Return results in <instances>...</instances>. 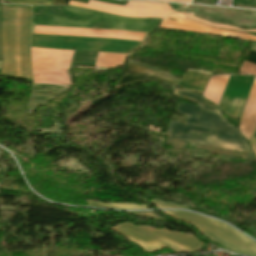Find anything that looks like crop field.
Wrapping results in <instances>:
<instances>
[{"label": "crop field", "instance_id": "obj_14", "mask_svg": "<svg viewBox=\"0 0 256 256\" xmlns=\"http://www.w3.org/2000/svg\"><path fill=\"white\" fill-rule=\"evenodd\" d=\"M34 88H53L49 90H34ZM66 87L50 86L44 84H33L32 94H46L47 92H54L51 94H59L60 92L66 90Z\"/></svg>", "mask_w": 256, "mask_h": 256}, {"label": "crop field", "instance_id": "obj_16", "mask_svg": "<svg viewBox=\"0 0 256 256\" xmlns=\"http://www.w3.org/2000/svg\"><path fill=\"white\" fill-rule=\"evenodd\" d=\"M150 203H153L156 207L158 208H177V209H188L187 206L185 205H177L175 203L172 202H163L160 200H156L154 199L153 201H151ZM152 204V205H153Z\"/></svg>", "mask_w": 256, "mask_h": 256}, {"label": "crop field", "instance_id": "obj_20", "mask_svg": "<svg viewBox=\"0 0 256 256\" xmlns=\"http://www.w3.org/2000/svg\"><path fill=\"white\" fill-rule=\"evenodd\" d=\"M252 151H253V153L255 154V156H256V141L254 142V144H253V146H252Z\"/></svg>", "mask_w": 256, "mask_h": 256}, {"label": "crop field", "instance_id": "obj_12", "mask_svg": "<svg viewBox=\"0 0 256 256\" xmlns=\"http://www.w3.org/2000/svg\"><path fill=\"white\" fill-rule=\"evenodd\" d=\"M88 206L102 207V208H113V209H148L144 205L134 204H102L96 201H87Z\"/></svg>", "mask_w": 256, "mask_h": 256}, {"label": "crop field", "instance_id": "obj_21", "mask_svg": "<svg viewBox=\"0 0 256 256\" xmlns=\"http://www.w3.org/2000/svg\"><path fill=\"white\" fill-rule=\"evenodd\" d=\"M191 0H175L174 2H184V3H189Z\"/></svg>", "mask_w": 256, "mask_h": 256}, {"label": "crop field", "instance_id": "obj_5", "mask_svg": "<svg viewBox=\"0 0 256 256\" xmlns=\"http://www.w3.org/2000/svg\"><path fill=\"white\" fill-rule=\"evenodd\" d=\"M161 213L186 224H193L203 236L212 242L216 241L225 249L242 255L256 256L255 242L221 222L188 212L165 211Z\"/></svg>", "mask_w": 256, "mask_h": 256}, {"label": "crop field", "instance_id": "obj_2", "mask_svg": "<svg viewBox=\"0 0 256 256\" xmlns=\"http://www.w3.org/2000/svg\"><path fill=\"white\" fill-rule=\"evenodd\" d=\"M174 95L192 100L201 106L179 104L176 112L188 118L185 124L170 123L167 129L170 137L200 145L251 152L237 129L230 125L214 106L196 94L176 88H174ZM190 131L208 134L210 139L206 136L191 134ZM228 132L233 134H228Z\"/></svg>", "mask_w": 256, "mask_h": 256}, {"label": "crop field", "instance_id": "obj_18", "mask_svg": "<svg viewBox=\"0 0 256 256\" xmlns=\"http://www.w3.org/2000/svg\"><path fill=\"white\" fill-rule=\"evenodd\" d=\"M132 4H144V5H151L155 7H162V8H168L171 9L168 4H161V3H151V2H128Z\"/></svg>", "mask_w": 256, "mask_h": 256}, {"label": "crop field", "instance_id": "obj_13", "mask_svg": "<svg viewBox=\"0 0 256 256\" xmlns=\"http://www.w3.org/2000/svg\"><path fill=\"white\" fill-rule=\"evenodd\" d=\"M19 4L52 5L54 0H2ZM69 0H55L53 5H68Z\"/></svg>", "mask_w": 256, "mask_h": 256}, {"label": "crop field", "instance_id": "obj_9", "mask_svg": "<svg viewBox=\"0 0 256 256\" xmlns=\"http://www.w3.org/2000/svg\"><path fill=\"white\" fill-rule=\"evenodd\" d=\"M210 73L187 70L178 87L189 91L202 93L209 79Z\"/></svg>", "mask_w": 256, "mask_h": 256}, {"label": "crop field", "instance_id": "obj_4", "mask_svg": "<svg viewBox=\"0 0 256 256\" xmlns=\"http://www.w3.org/2000/svg\"><path fill=\"white\" fill-rule=\"evenodd\" d=\"M128 240L140 245L144 252H157L169 247L175 252H194L203 242L192 234L153 229L149 226H135L128 222L111 228Z\"/></svg>", "mask_w": 256, "mask_h": 256}, {"label": "crop field", "instance_id": "obj_11", "mask_svg": "<svg viewBox=\"0 0 256 256\" xmlns=\"http://www.w3.org/2000/svg\"><path fill=\"white\" fill-rule=\"evenodd\" d=\"M153 80H156V81H160V82H164V83H167V84H170V85H174L176 86L177 84L173 83V82H170L168 80H164V79H161V78H151V77H141V76H134V75H124L116 84V87L115 88H119L123 85H126L130 82H135V81H153Z\"/></svg>", "mask_w": 256, "mask_h": 256}, {"label": "crop field", "instance_id": "obj_8", "mask_svg": "<svg viewBox=\"0 0 256 256\" xmlns=\"http://www.w3.org/2000/svg\"><path fill=\"white\" fill-rule=\"evenodd\" d=\"M69 5L89 8V9H93V10H97L105 13L116 14V15L125 16V17H134L136 6H137V5H131V4H126L125 6L111 5V4H105V3H101L94 0H89L87 5L70 1Z\"/></svg>", "mask_w": 256, "mask_h": 256}, {"label": "crop field", "instance_id": "obj_7", "mask_svg": "<svg viewBox=\"0 0 256 256\" xmlns=\"http://www.w3.org/2000/svg\"><path fill=\"white\" fill-rule=\"evenodd\" d=\"M256 127V78L253 79L242 119L238 127L245 139H249L251 133Z\"/></svg>", "mask_w": 256, "mask_h": 256}, {"label": "crop field", "instance_id": "obj_17", "mask_svg": "<svg viewBox=\"0 0 256 256\" xmlns=\"http://www.w3.org/2000/svg\"><path fill=\"white\" fill-rule=\"evenodd\" d=\"M54 97L51 96H32L29 105L37 106L38 104L47 105L48 100Z\"/></svg>", "mask_w": 256, "mask_h": 256}, {"label": "crop field", "instance_id": "obj_22", "mask_svg": "<svg viewBox=\"0 0 256 256\" xmlns=\"http://www.w3.org/2000/svg\"><path fill=\"white\" fill-rule=\"evenodd\" d=\"M163 1H172L173 2V0H163Z\"/></svg>", "mask_w": 256, "mask_h": 256}, {"label": "crop field", "instance_id": "obj_19", "mask_svg": "<svg viewBox=\"0 0 256 256\" xmlns=\"http://www.w3.org/2000/svg\"><path fill=\"white\" fill-rule=\"evenodd\" d=\"M172 8H174L175 10L181 8V7H184L186 5H181V4H169Z\"/></svg>", "mask_w": 256, "mask_h": 256}, {"label": "crop field", "instance_id": "obj_3", "mask_svg": "<svg viewBox=\"0 0 256 256\" xmlns=\"http://www.w3.org/2000/svg\"><path fill=\"white\" fill-rule=\"evenodd\" d=\"M31 7L2 6L0 75L31 79L29 53Z\"/></svg>", "mask_w": 256, "mask_h": 256}, {"label": "crop field", "instance_id": "obj_6", "mask_svg": "<svg viewBox=\"0 0 256 256\" xmlns=\"http://www.w3.org/2000/svg\"><path fill=\"white\" fill-rule=\"evenodd\" d=\"M178 14L179 13H172L169 16L165 17L163 22L161 23L160 27L168 28V29H174V30H182V31H191V32L213 34V35L239 37V38H243V39H246V40H256V36L243 34V33L235 32V31H225V30L214 29V28H211L209 26H205V25L199 24L197 22L187 20L184 17L179 16ZM180 14H182V13H180ZM182 15H184L188 18L194 19L196 21L208 24L210 26L240 30V29H238L236 27H232V26H222V25L212 24L208 21L200 20V19H197V18L192 17L190 15H186V14H182ZM168 18H174V19L178 20L179 22L167 20ZM240 31L256 32V30H240Z\"/></svg>", "mask_w": 256, "mask_h": 256}, {"label": "crop field", "instance_id": "obj_10", "mask_svg": "<svg viewBox=\"0 0 256 256\" xmlns=\"http://www.w3.org/2000/svg\"><path fill=\"white\" fill-rule=\"evenodd\" d=\"M171 12H172V10L138 5L135 17H138V18H146V17L163 18L165 15H167Z\"/></svg>", "mask_w": 256, "mask_h": 256}, {"label": "crop field", "instance_id": "obj_23", "mask_svg": "<svg viewBox=\"0 0 256 256\" xmlns=\"http://www.w3.org/2000/svg\"><path fill=\"white\" fill-rule=\"evenodd\" d=\"M0 64H1V61H0Z\"/></svg>", "mask_w": 256, "mask_h": 256}, {"label": "crop field", "instance_id": "obj_15", "mask_svg": "<svg viewBox=\"0 0 256 256\" xmlns=\"http://www.w3.org/2000/svg\"><path fill=\"white\" fill-rule=\"evenodd\" d=\"M127 73H134V74H142V75H151V76H157L158 73H155L149 69L142 68V67H137L133 65L128 64V72Z\"/></svg>", "mask_w": 256, "mask_h": 256}, {"label": "crop field", "instance_id": "obj_1", "mask_svg": "<svg viewBox=\"0 0 256 256\" xmlns=\"http://www.w3.org/2000/svg\"><path fill=\"white\" fill-rule=\"evenodd\" d=\"M32 25L31 46L68 50H86L110 53L130 54L140 48L149 34L139 32L97 30L84 28L56 27L36 25L35 33L94 37L80 38L54 35L34 34ZM31 47L33 63V83H44L71 87L72 79L68 70L74 65L114 68L124 64L127 55L68 51Z\"/></svg>", "mask_w": 256, "mask_h": 256}]
</instances>
